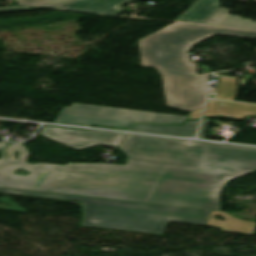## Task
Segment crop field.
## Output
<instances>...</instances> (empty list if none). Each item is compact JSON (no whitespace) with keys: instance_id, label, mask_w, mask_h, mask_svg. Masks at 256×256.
Listing matches in <instances>:
<instances>
[{"instance_id":"obj_1","label":"crop field","mask_w":256,"mask_h":256,"mask_svg":"<svg viewBox=\"0 0 256 256\" xmlns=\"http://www.w3.org/2000/svg\"><path fill=\"white\" fill-rule=\"evenodd\" d=\"M125 166L25 163L23 145L10 144L0 165V187L89 195L220 210V190L228 180L256 170V149L127 134L119 147ZM19 151V160H13ZM23 168L31 172L20 176Z\"/></svg>"},{"instance_id":"obj_2","label":"crop field","mask_w":256,"mask_h":256,"mask_svg":"<svg viewBox=\"0 0 256 256\" xmlns=\"http://www.w3.org/2000/svg\"><path fill=\"white\" fill-rule=\"evenodd\" d=\"M215 34L256 39V32L174 23L139 41L143 66L161 73L169 106L185 111L203 106L204 75L197 74L189 51Z\"/></svg>"},{"instance_id":"obj_3","label":"crop field","mask_w":256,"mask_h":256,"mask_svg":"<svg viewBox=\"0 0 256 256\" xmlns=\"http://www.w3.org/2000/svg\"><path fill=\"white\" fill-rule=\"evenodd\" d=\"M0 192L83 202L82 225L162 234L167 222L205 225L211 210L0 188Z\"/></svg>"},{"instance_id":"obj_4","label":"crop field","mask_w":256,"mask_h":256,"mask_svg":"<svg viewBox=\"0 0 256 256\" xmlns=\"http://www.w3.org/2000/svg\"><path fill=\"white\" fill-rule=\"evenodd\" d=\"M186 119V116L179 115L73 104L71 107L63 108L55 122L125 128L139 122L182 124Z\"/></svg>"},{"instance_id":"obj_5","label":"crop field","mask_w":256,"mask_h":256,"mask_svg":"<svg viewBox=\"0 0 256 256\" xmlns=\"http://www.w3.org/2000/svg\"><path fill=\"white\" fill-rule=\"evenodd\" d=\"M127 1L129 0H75L60 9L117 15L126 10L119 6ZM219 1L197 0L176 20L202 24L221 7Z\"/></svg>"},{"instance_id":"obj_6","label":"crop field","mask_w":256,"mask_h":256,"mask_svg":"<svg viewBox=\"0 0 256 256\" xmlns=\"http://www.w3.org/2000/svg\"><path fill=\"white\" fill-rule=\"evenodd\" d=\"M41 135L63 143L74 149H83L94 145L114 146L123 134L104 131H84L44 126Z\"/></svg>"},{"instance_id":"obj_7","label":"crop field","mask_w":256,"mask_h":256,"mask_svg":"<svg viewBox=\"0 0 256 256\" xmlns=\"http://www.w3.org/2000/svg\"><path fill=\"white\" fill-rule=\"evenodd\" d=\"M198 120H191L186 122L184 126H164V125H154V124H136L131 129H126L125 131H135V132H146V133H156V134H167V135H177V136H190L194 137L196 128L198 125Z\"/></svg>"},{"instance_id":"obj_8","label":"crop field","mask_w":256,"mask_h":256,"mask_svg":"<svg viewBox=\"0 0 256 256\" xmlns=\"http://www.w3.org/2000/svg\"><path fill=\"white\" fill-rule=\"evenodd\" d=\"M216 214L224 217L226 222L213 219ZM206 225L222 227V231L252 235L256 227V222L239 220L227 214L225 211L213 210Z\"/></svg>"},{"instance_id":"obj_9","label":"crop field","mask_w":256,"mask_h":256,"mask_svg":"<svg viewBox=\"0 0 256 256\" xmlns=\"http://www.w3.org/2000/svg\"><path fill=\"white\" fill-rule=\"evenodd\" d=\"M229 12L230 9L221 7L203 24L256 30L255 21L240 16L230 15L228 14Z\"/></svg>"},{"instance_id":"obj_10","label":"crop field","mask_w":256,"mask_h":256,"mask_svg":"<svg viewBox=\"0 0 256 256\" xmlns=\"http://www.w3.org/2000/svg\"><path fill=\"white\" fill-rule=\"evenodd\" d=\"M18 5L58 9L73 0H17Z\"/></svg>"},{"instance_id":"obj_11","label":"crop field","mask_w":256,"mask_h":256,"mask_svg":"<svg viewBox=\"0 0 256 256\" xmlns=\"http://www.w3.org/2000/svg\"><path fill=\"white\" fill-rule=\"evenodd\" d=\"M209 119L210 118H207V119L203 120L198 138H201V139L205 138V134H206V130H207V127H208Z\"/></svg>"},{"instance_id":"obj_12","label":"crop field","mask_w":256,"mask_h":256,"mask_svg":"<svg viewBox=\"0 0 256 256\" xmlns=\"http://www.w3.org/2000/svg\"><path fill=\"white\" fill-rule=\"evenodd\" d=\"M26 9L28 8H23V7L4 8V9H0V12L20 11V10H26Z\"/></svg>"},{"instance_id":"obj_13","label":"crop field","mask_w":256,"mask_h":256,"mask_svg":"<svg viewBox=\"0 0 256 256\" xmlns=\"http://www.w3.org/2000/svg\"><path fill=\"white\" fill-rule=\"evenodd\" d=\"M5 147H6V144H5V143H0V152H1L2 156H3V158L0 159V163H2L5 158H7V155H6V154L4 153V151H3V149H4Z\"/></svg>"}]
</instances>
